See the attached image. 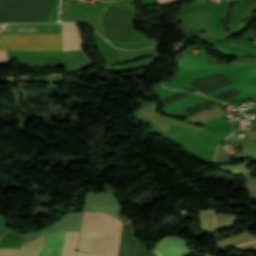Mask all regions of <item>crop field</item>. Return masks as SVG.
<instances>
[{
  "mask_svg": "<svg viewBox=\"0 0 256 256\" xmlns=\"http://www.w3.org/2000/svg\"><path fill=\"white\" fill-rule=\"evenodd\" d=\"M113 216L84 212L78 251L107 255ZM122 222L114 218L108 256H117Z\"/></svg>",
  "mask_w": 256,
  "mask_h": 256,
  "instance_id": "crop-field-1",
  "label": "crop field"
},
{
  "mask_svg": "<svg viewBox=\"0 0 256 256\" xmlns=\"http://www.w3.org/2000/svg\"><path fill=\"white\" fill-rule=\"evenodd\" d=\"M63 36H79L75 23H62ZM81 49L79 37H63V50ZM0 50H61V34L2 35ZM0 63H7L0 51Z\"/></svg>",
  "mask_w": 256,
  "mask_h": 256,
  "instance_id": "crop-field-2",
  "label": "crop field"
},
{
  "mask_svg": "<svg viewBox=\"0 0 256 256\" xmlns=\"http://www.w3.org/2000/svg\"><path fill=\"white\" fill-rule=\"evenodd\" d=\"M52 1L0 0V22L47 21L51 12Z\"/></svg>",
  "mask_w": 256,
  "mask_h": 256,
  "instance_id": "crop-field-3",
  "label": "crop field"
},
{
  "mask_svg": "<svg viewBox=\"0 0 256 256\" xmlns=\"http://www.w3.org/2000/svg\"><path fill=\"white\" fill-rule=\"evenodd\" d=\"M66 232L48 233L39 256H61ZM78 232H67L62 256H96L93 253L76 252Z\"/></svg>",
  "mask_w": 256,
  "mask_h": 256,
  "instance_id": "crop-field-4",
  "label": "crop field"
},
{
  "mask_svg": "<svg viewBox=\"0 0 256 256\" xmlns=\"http://www.w3.org/2000/svg\"><path fill=\"white\" fill-rule=\"evenodd\" d=\"M103 24H108L107 38L116 41H131L130 12L127 10L107 8Z\"/></svg>",
  "mask_w": 256,
  "mask_h": 256,
  "instance_id": "crop-field-5",
  "label": "crop field"
},
{
  "mask_svg": "<svg viewBox=\"0 0 256 256\" xmlns=\"http://www.w3.org/2000/svg\"><path fill=\"white\" fill-rule=\"evenodd\" d=\"M153 251L158 256H188L194 252L186 246V241L177 237H165L161 239Z\"/></svg>",
  "mask_w": 256,
  "mask_h": 256,
  "instance_id": "crop-field-6",
  "label": "crop field"
},
{
  "mask_svg": "<svg viewBox=\"0 0 256 256\" xmlns=\"http://www.w3.org/2000/svg\"><path fill=\"white\" fill-rule=\"evenodd\" d=\"M44 236L23 242L18 256H38L43 248Z\"/></svg>",
  "mask_w": 256,
  "mask_h": 256,
  "instance_id": "crop-field-7",
  "label": "crop field"
},
{
  "mask_svg": "<svg viewBox=\"0 0 256 256\" xmlns=\"http://www.w3.org/2000/svg\"><path fill=\"white\" fill-rule=\"evenodd\" d=\"M19 249L0 248V256H17Z\"/></svg>",
  "mask_w": 256,
  "mask_h": 256,
  "instance_id": "crop-field-8",
  "label": "crop field"
},
{
  "mask_svg": "<svg viewBox=\"0 0 256 256\" xmlns=\"http://www.w3.org/2000/svg\"><path fill=\"white\" fill-rule=\"evenodd\" d=\"M246 188L256 197V179L247 180Z\"/></svg>",
  "mask_w": 256,
  "mask_h": 256,
  "instance_id": "crop-field-9",
  "label": "crop field"
},
{
  "mask_svg": "<svg viewBox=\"0 0 256 256\" xmlns=\"http://www.w3.org/2000/svg\"><path fill=\"white\" fill-rule=\"evenodd\" d=\"M173 1H175V0H158V3H159V5H161V4L171 3Z\"/></svg>",
  "mask_w": 256,
  "mask_h": 256,
  "instance_id": "crop-field-10",
  "label": "crop field"
},
{
  "mask_svg": "<svg viewBox=\"0 0 256 256\" xmlns=\"http://www.w3.org/2000/svg\"><path fill=\"white\" fill-rule=\"evenodd\" d=\"M97 256H101V255H98V254H97Z\"/></svg>",
  "mask_w": 256,
  "mask_h": 256,
  "instance_id": "crop-field-11",
  "label": "crop field"
}]
</instances>
